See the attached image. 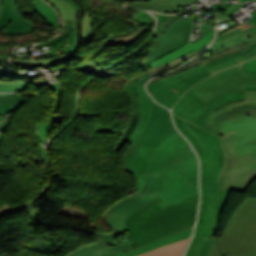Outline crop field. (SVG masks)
Instances as JSON below:
<instances>
[{"label": "crop field", "instance_id": "crop-field-26", "mask_svg": "<svg viewBox=\"0 0 256 256\" xmlns=\"http://www.w3.org/2000/svg\"><path fill=\"white\" fill-rule=\"evenodd\" d=\"M0 77H21L22 81L42 82V83H46L47 86H49L51 89L57 91L56 102H55V104L53 106V111H52L51 115L49 116L48 128H47V136H48L49 128H50L52 119H53V117L55 115V111H56V107H57V103H58L59 84L58 83L51 84L49 81H46V79L44 78L43 75H40V74H36V75H29V74H0Z\"/></svg>", "mask_w": 256, "mask_h": 256}, {"label": "crop field", "instance_id": "crop-field-32", "mask_svg": "<svg viewBox=\"0 0 256 256\" xmlns=\"http://www.w3.org/2000/svg\"><path fill=\"white\" fill-rule=\"evenodd\" d=\"M46 1L59 10L61 17L65 21V26H67L69 20H76V16L74 17V14L76 13L75 8H73L66 1H62V0H46Z\"/></svg>", "mask_w": 256, "mask_h": 256}, {"label": "crop field", "instance_id": "crop-field-50", "mask_svg": "<svg viewBox=\"0 0 256 256\" xmlns=\"http://www.w3.org/2000/svg\"><path fill=\"white\" fill-rule=\"evenodd\" d=\"M148 78H151L150 74L147 75V76H145V77H143V78H141V79H139V80H137V81H135V82L132 83V84H133V85H144L145 82L148 80Z\"/></svg>", "mask_w": 256, "mask_h": 256}, {"label": "crop field", "instance_id": "crop-field-25", "mask_svg": "<svg viewBox=\"0 0 256 256\" xmlns=\"http://www.w3.org/2000/svg\"><path fill=\"white\" fill-rule=\"evenodd\" d=\"M192 228H193V227H192ZM192 228H190V229H188V230H185V231H183V232H181V233H178V234H176V235L170 236V237H168V238H165V239H163V240L157 241V242H155V243H152V244H150V245H147V246H144V247H142V248L136 249V250L131 251V252L127 253V254H125L124 252H122V253L115 254V255H112V256H134V255L143 253V252H145V251H148V250H151V249H154V248H157V247H160V246H163V245H166V244L175 242V241H177V240H180V239L189 237L190 234H191Z\"/></svg>", "mask_w": 256, "mask_h": 256}, {"label": "crop field", "instance_id": "crop-field-21", "mask_svg": "<svg viewBox=\"0 0 256 256\" xmlns=\"http://www.w3.org/2000/svg\"><path fill=\"white\" fill-rule=\"evenodd\" d=\"M10 1L12 7V21L2 31V34L19 35L32 32L34 30L35 24L22 17L18 11L15 0Z\"/></svg>", "mask_w": 256, "mask_h": 256}, {"label": "crop field", "instance_id": "crop-field-44", "mask_svg": "<svg viewBox=\"0 0 256 256\" xmlns=\"http://www.w3.org/2000/svg\"><path fill=\"white\" fill-rule=\"evenodd\" d=\"M245 74L256 73V59L244 63Z\"/></svg>", "mask_w": 256, "mask_h": 256}, {"label": "crop field", "instance_id": "crop-field-10", "mask_svg": "<svg viewBox=\"0 0 256 256\" xmlns=\"http://www.w3.org/2000/svg\"><path fill=\"white\" fill-rule=\"evenodd\" d=\"M153 105L154 111L143 135L136 145H131L124 159L123 166L130 173L134 172L132 159L141 145L155 149L160 141L176 132L170 112L156 103Z\"/></svg>", "mask_w": 256, "mask_h": 256}, {"label": "crop field", "instance_id": "crop-field-67", "mask_svg": "<svg viewBox=\"0 0 256 256\" xmlns=\"http://www.w3.org/2000/svg\"><path fill=\"white\" fill-rule=\"evenodd\" d=\"M131 1H139V0H131Z\"/></svg>", "mask_w": 256, "mask_h": 256}, {"label": "crop field", "instance_id": "crop-field-29", "mask_svg": "<svg viewBox=\"0 0 256 256\" xmlns=\"http://www.w3.org/2000/svg\"><path fill=\"white\" fill-rule=\"evenodd\" d=\"M154 16L158 18V27L156 30V39L151 47L150 50L146 51V58H148L149 56H151L153 53H155L157 46L159 44V41L163 35V31L164 29L173 22V20L179 19V17L177 15H162V14H158V13H154ZM145 58V59H146Z\"/></svg>", "mask_w": 256, "mask_h": 256}, {"label": "crop field", "instance_id": "crop-field-36", "mask_svg": "<svg viewBox=\"0 0 256 256\" xmlns=\"http://www.w3.org/2000/svg\"><path fill=\"white\" fill-rule=\"evenodd\" d=\"M124 90H125V93L129 99V101L131 102L132 112L138 118H140V110H139L137 95L135 93V86H133V85L124 86Z\"/></svg>", "mask_w": 256, "mask_h": 256}, {"label": "crop field", "instance_id": "crop-field-15", "mask_svg": "<svg viewBox=\"0 0 256 256\" xmlns=\"http://www.w3.org/2000/svg\"><path fill=\"white\" fill-rule=\"evenodd\" d=\"M228 192L229 190L219 189L218 197L214 205L201 203L194 236L212 237L213 228H218L220 212L227 201Z\"/></svg>", "mask_w": 256, "mask_h": 256}, {"label": "crop field", "instance_id": "crop-field-66", "mask_svg": "<svg viewBox=\"0 0 256 256\" xmlns=\"http://www.w3.org/2000/svg\"><path fill=\"white\" fill-rule=\"evenodd\" d=\"M222 1H230V0H222Z\"/></svg>", "mask_w": 256, "mask_h": 256}, {"label": "crop field", "instance_id": "crop-field-24", "mask_svg": "<svg viewBox=\"0 0 256 256\" xmlns=\"http://www.w3.org/2000/svg\"><path fill=\"white\" fill-rule=\"evenodd\" d=\"M26 100L23 94H0V115H8L19 108Z\"/></svg>", "mask_w": 256, "mask_h": 256}, {"label": "crop field", "instance_id": "crop-field-38", "mask_svg": "<svg viewBox=\"0 0 256 256\" xmlns=\"http://www.w3.org/2000/svg\"><path fill=\"white\" fill-rule=\"evenodd\" d=\"M11 21V7L9 0H3V9L0 19V30L4 29Z\"/></svg>", "mask_w": 256, "mask_h": 256}, {"label": "crop field", "instance_id": "crop-field-40", "mask_svg": "<svg viewBox=\"0 0 256 256\" xmlns=\"http://www.w3.org/2000/svg\"><path fill=\"white\" fill-rule=\"evenodd\" d=\"M245 4H232L226 11H222L221 9L218 12V19L226 18L234 14L239 8H241ZM240 10V9H239Z\"/></svg>", "mask_w": 256, "mask_h": 256}, {"label": "crop field", "instance_id": "crop-field-35", "mask_svg": "<svg viewBox=\"0 0 256 256\" xmlns=\"http://www.w3.org/2000/svg\"><path fill=\"white\" fill-rule=\"evenodd\" d=\"M30 82H17V83H0V92H20L24 91L26 86ZM38 88L45 86L46 84L31 82Z\"/></svg>", "mask_w": 256, "mask_h": 256}, {"label": "crop field", "instance_id": "crop-field-5", "mask_svg": "<svg viewBox=\"0 0 256 256\" xmlns=\"http://www.w3.org/2000/svg\"><path fill=\"white\" fill-rule=\"evenodd\" d=\"M251 15L252 17L243 25L238 22L240 25L218 35L219 37H217L213 45L190 63L162 76V78L180 73L201 63L211 62L256 43V12L253 11Z\"/></svg>", "mask_w": 256, "mask_h": 256}, {"label": "crop field", "instance_id": "crop-field-64", "mask_svg": "<svg viewBox=\"0 0 256 256\" xmlns=\"http://www.w3.org/2000/svg\"><path fill=\"white\" fill-rule=\"evenodd\" d=\"M6 117H9V116H5V117H0V121ZM0 138H1V134H0Z\"/></svg>", "mask_w": 256, "mask_h": 256}, {"label": "crop field", "instance_id": "crop-field-42", "mask_svg": "<svg viewBox=\"0 0 256 256\" xmlns=\"http://www.w3.org/2000/svg\"><path fill=\"white\" fill-rule=\"evenodd\" d=\"M202 237H194L186 256H196Z\"/></svg>", "mask_w": 256, "mask_h": 256}, {"label": "crop field", "instance_id": "crop-field-45", "mask_svg": "<svg viewBox=\"0 0 256 256\" xmlns=\"http://www.w3.org/2000/svg\"><path fill=\"white\" fill-rule=\"evenodd\" d=\"M71 23H72V21L69 22L68 28H67L66 32L64 34H62L60 37H58V38H56L54 40L48 41V42H44V43L39 44V45H37L35 47L51 45V44L57 42L58 40L64 38L70 32Z\"/></svg>", "mask_w": 256, "mask_h": 256}, {"label": "crop field", "instance_id": "crop-field-22", "mask_svg": "<svg viewBox=\"0 0 256 256\" xmlns=\"http://www.w3.org/2000/svg\"><path fill=\"white\" fill-rule=\"evenodd\" d=\"M213 32H214V29L211 30L209 33H207L205 36H203L201 39H199L197 42L195 43H188L187 45H185L184 47L158 59L157 61L149 64L148 66L144 67V68H149V67H155V66H158V65H161L165 62H168L170 60H173L175 58H178L182 55H185L187 53H190L198 48H201L207 44H209V42L211 41L212 37H213Z\"/></svg>", "mask_w": 256, "mask_h": 256}, {"label": "crop field", "instance_id": "crop-field-18", "mask_svg": "<svg viewBox=\"0 0 256 256\" xmlns=\"http://www.w3.org/2000/svg\"><path fill=\"white\" fill-rule=\"evenodd\" d=\"M253 57H256V44L211 63H207L205 66L210 71V73L213 74L224 68L240 64Z\"/></svg>", "mask_w": 256, "mask_h": 256}, {"label": "crop field", "instance_id": "crop-field-23", "mask_svg": "<svg viewBox=\"0 0 256 256\" xmlns=\"http://www.w3.org/2000/svg\"><path fill=\"white\" fill-rule=\"evenodd\" d=\"M205 47H206V46H205ZM205 47H203V48H201V49H199V50H196V51H194V52H192V53H190V54H187V55H185V56H182V57H180V58H178V59H175V60H173V61H170V62H168V63H166V64H163V65H161V66H158V67H155V68H150V69H144L147 73H145V74H143V75H141V76H138V77H136V78H134V79H132V80L126 82L125 85L131 84V83H132L133 81H135L136 79H138V78H140V77H142V76H144V75H146V74H148V73H150V74L152 75V77H154V76H157V75H159V74H161V73H164V72H166V71H168V70H170V69H173V68H175V67H177V66L183 64L184 62H186V61L189 60L190 58H192L196 53H198V52H200L201 50L205 49Z\"/></svg>", "mask_w": 256, "mask_h": 256}, {"label": "crop field", "instance_id": "crop-field-17", "mask_svg": "<svg viewBox=\"0 0 256 256\" xmlns=\"http://www.w3.org/2000/svg\"><path fill=\"white\" fill-rule=\"evenodd\" d=\"M209 75H211L209 71L201 64L180 74L151 82L148 84V90L150 93L155 85L163 83L179 95H182L188 88Z\"/></svg>", "mask_w": 256, "mask_h": 256}, {"label": "crop field", "instance_id": "crop-field-28", "mask_svg": "<svg viewBox=\"0 0 256 256\" xmlns=\"http://www.w3.org/2000/svg\"><path fill=\"white\" fill-rule=\"evenodd\" d=\"M152 96L157 102L167 106L170 109L181 97L163 84L153 88Z\"/></svg>", "mask_w": 256, "mask_h": 256}, {"label": "crop field", "instance_id": "crop-field-33", "mask_svg": "<svg viewBox=\"0 0 256 256\" xmlns=\"http://www.w3.org/2000/svg\"><path fill=\"white\" fill-rule=\"evenodd\" d=\"M50 186L48 185H44L40 194L38 196H36L34 199L27 201L25 203L19 204L17 206H14L13 208L18 209V208H22L25 207L28 209L27 213L32 217V219L37 223L39 221V218L37 217V213H36V209H35V202L45 194V192L48 190Z\"/></svg>", "mask_w": 256, "mask_h": 256}, {"label": "crop field", "instance_id": "crop-field-31", "mask_svg": "<svg viewBox=\"0 0 256 256\" xmlns=\"http://www.w3.org/2000/svg\"><path fill=\"white\" fill-rule=\"evenodd\" d=\"M174 121L182 134L190 141L197 153L205 151V148L199 138L186 126L182 119L174 116Z\"/></svg>", "mask_w": 256, "mask_h": 256}, {"label": "crop field", "instance_id": "crop-field-65", "mask_svg": "<svg viewBox=\"0 0 256 256\" xmlns=\"http://www.w3.org/2000/svg\"><path fill=\"white\" fill-rule=\"evenodd\" d=\"M0 64H4V65H6L7 63H2V62H0Z\"/></svg>", "mask_w": 256, "mask_h": 256}, {"label": "crop field", "instance_id": "crop-field-52", "mask_svg": "<svg viewBox=\"0 0 256 256\" xmlns=\"http://www.w3.org/2000/svg\"><path fill=\"white\" fill-rule=\"evenodd\" d=\"M226 24L229 25V27H227V28H225V29H223L221 31H218V34H220V33L224 32V31H226V30H228V29L238 25V23L234 22L233 20L226 22Z\"/></svg>", "mask_w": 256, "mask_h": 256}, {"label": "crop field", "instance_id": "crop-field-16", "mask_svg": "<svg viewBox=\"0 0 256 256\" xmlns=\"http://www.w3.org/2000/svg\"><path fill=\"white\" fill-rule=\"evenodd\" d=\"M254 179H256V154H250L238 159L222 188L244 192Z\"/></svg>", "mask_w": 256, "mask_h": 256}, {"label": "crop field", "instance_id": "crop-field-14", "mask_svg": "<svg viewBox=\"0 0 256 256\" xmlns=\"http://www.w3.org/2000/svg\"><path fill=\"white\" fill-rule=\"evenodd\" d=\"M193 27H195V25L186 18L173 22L166 28L158 49L153 56L158 59L184 46L189 42Z\"/></svg>", "mask_w": 256, "mask_h": 256}, {"label": "crop field", "instance_id": "crop-field-68", "mask_svg": "<svg viewBox=\"0 0 256 256\" xmlns=\"http://www.w3.org/2000/svg\"><path fill=\"white\" fill-rule=\"evenodd\" d=\"M254 256H256V255H254Z\"/></svg>", "mask_w": 256, "mask_h": 256}, {"label": "crop field", "instance_id": "crop-field-63", "mask_svg": "<svg viewBox=\"0 0 256 256\" xmlns=\"http://www.w3.org/2000/svg\"><path fill=\"white\" fill-rule=\"evenodd\" d=\"M246 1H251V0H238L237 2H246Z\"/></svg>", "mask_w": 256, "mask_h": 256}, {"label": "crop field", "instance_id": "crop-field-48", "mask_svg": "<svg viewBox=\"0 0 256 256\" xmlns=\"http://www.w3.org/2000/svg\"><path fill=\"white\" fill-rule=\"evenodd\" d=\"M231 4H227V3H217V4H214V5H212L211 7L212 8H214V9H216V10H218V9H224V10H226L229 6H230Z\"/></svg>", "mask_w": 256, "mask_h": 256}, {"label": "crop field", "instance_id": "crop-field-3", "mask_svg": "<svg viewBox=\"0 0 256 256\" xmlns=\"http://www.w3.org/2000/svg\"><path fill=\"white\" fill-rule=\"evenodd\" d=\"M254 254H256V199H247L229 221L210 256Z\"/></svg>", "mask_w": 256, "mask_h": 256}, {"label": "crop field", "instance_id": "crop-field-13", "mask_svg": "<svg viewBox=\"0 0 256 256\" xmlns=\"http://www.w3.org/2000/svg\"><path fill=\"white\" fill-rule=\"evenodd\" d=\"M237 100H244L243 91L228 92L217 96L206 103L201 101L192 93L177 103L173 108L172 113L192 122L209 106L216 110L230 102Z\"/></svg>", "mask_w": 256, "mask_h": 256}, {"label": "crop field", "instance_id": "crop-field-2", "mask_svg": "<svg viewBox=\"0 0 256 256\" xmlns=\"http://www.w3.org/2000/svg\"><path fill=\"white\" fill-rule=\"evenodd\" d=\"M198 161L191 149L169 154L161 163L162 206L188 195L198 194Z\"/></svg>", "mask_w": 256, "mask_h": 256}, {"label": "crop field", "instance_id": "crop-field-11", "mask_svg": "<svg viewBox=\"0 0 256 256\" xmlns=\"http://www.w3.org/2000/svg\"><path fill=\"white\" fill-rule=\"evenodd\" d=\"M224 134L228 135L238 157L256 153V119L238 117L223 122Z\"/></svg>", "mask_w": 256, "mask_h": 256}, {"label": "crop field", "instance_id": "crop-field-59", "mask_svg": "<svg viewBox=\"0 0 256 256\" xmlns=\"http://www.w3.org/2000/svg\"><path fill=\"white\" fill-rule=\"evenodd\" d=\"M227 20H231V19L229 18V19H227ZM227 20L218 21V25L224 23V22L227 21Z\"/></svg>", "mask_w": 256, "mask_h": 256}, {"label": "crop field", "instance_id": "crop-field-20", "mask_svg": "<svg viewBox=\"0 0 256 256\" xmlns=\"http://www.w3.org/2000/svg\"><path fill=\"white\" fill-rule=\"evenodd\" d=\"M190 3H194V1L193 0H151L146 2L127 4V6L130 9L154 10V11L163 13L170 9L180 7Z\"/></svg>", "mask_w": 256, "mask_h": 256}, {"label": "crop field", "instance_id": "crop-field-12", "mask_svg": "<svg viewBox=\"0 0 256 256\" xmlns=\"http://www.w3.org/2000/svg\"><path fill=\"white\" fill-rule=\"evenodd\" d=\"M74 229L95 234L97 243L82 246L66 256H109L122 251L127 253L135 248L127 233H123L126 236L125 240L117 243L113 236L121 235V231L102 233L78 227ZM107 244H114L115 247H108Z\"/></svg>", "mask_w": 256, "mask_h": 256}, {"label": "crop field", "instance_id": "crop-field-1", "mask_svg": "<svg viewBox=\"0 0 256 256\" xmlns=\"http://www.w3.org/2000/svg\"><path fill=\"white\" fill-rule=\"evenodd\" d=\"M155 198L125 221L127 233L137 247L156 241L192 226L195 222L198 195L177 200L164 207Z\"/></svg>", "mask_w": 256, "mask_h": 256}, {"label": "crop field", "instance_id": "crop-field-55", "mask_svg": "<svg viewBox=\"0 0 256 256\" xmlns=\"http://www.w3.org/2000/svg\"><path fill=\"white\" fill-rule=\"evenodd\" d=\"M10 51H11V49H9V52L0 51V59H8V57L10 55Z\"/></svg>", "mask_w": 256, "mask_h": 256}, {"label": "crop field", "instance_id": "crop-field-4", "mask_svg": "<svg viewBox=\"0 0 256 256\" xmlns=\"http://www.w3.org/2000/svg\"><path fill=\"white\" fill-rule=\"evenodd\" d=\"M213 111L209 107L192 124L184 121L207 149V151L198 154L201 160V202L211 204L214 203L217 197V178L223 164L218 136L206 122Z\"/></svg>", "mask_w": 256, "mask_h": 256}, {"label": "crop field", "instance_id": "crop-field-39", "mask_svg": "<svg viewBox=\"0 0 256 256\" xmlns=\"http://www.w3.org/2000/svg\"><path fill=\"white\" fill-rule=\"evenodd\" d=\"M132 19L138 22L151 25L154 20V17L150 16L146 11H137L132 17Z\"/></svg>", "mask_w": 256, "mask_h": 256}, {"label": "crop field", "instance_id": "crop-field-49", "mask_svg": "<svg viewBox=\"0 0 256 256\" xmlns=\"http://www.w3.org/2000/svg\"><path fill=\"white\" fill-rule=\"evenodd\" d=\"M245 100L256 99V91H244Z\"/></svg>", "mask_w": 256, "mask_h": 256}, {"label": "crop field", "instance_id": "crop-field-47", "mask_svg": "<svg viewBox=\"0 0 256 256\" xmlns=\"http://www.w3.org/2000/svg\"><path fill=\"white\" fill-rule=\"evenodd\" d=\"M214 27H212L210 24H208L207 22L200 25V30L202 32V36L205 35L207 32H209L211 29H213Z\"/></svg>", "mask_w": 256, "mask_h": 256}, {"label": "crop field", "instance_id": "crop-field-6", "mask_svg": "<svg viewBox=\"0 0 256 256\" xmlns=\"http://www.w3.org/2000/svg\"><path fill=\"white\" fill-rule=\"evenodd\" d=\"M238 116H254L256 117V100L238 101L224 106L216 111L209 117L207 122L213 128L220 138L224 164L222 172L218 178V185L222 187L226 177L237 161L238 157L226 135L223 134L222 121L231 117Z\"/></svg>", "mask_w": 256, "mask_h": 256}, {"label": "crop field", "instance_id": "crop-field-56", "mask_svg": "<svg viewBox=\"0 0 256 256\" xmlns=\"http://www.w3.org/2000/svg\"><path fill=\"white\" fill-rule=\"evenodd\" d=\"M8 121H9V119H6V120H3V121L0 122V132H2L3 129L6 127Z\"/></svg>", "mask_w": 256, "mask_h": 256}, {"label": "crop field", "instance_id": "crop-field-27", "mask_svg": "<svg viewBox=\"0 0 256 256\" xmlns=\"http://www.w3.org/2000/svg\"><path fill=\"white\" fill-rule=\"evenodd\" d=\"M188 238L145 252L137 256H180Z\"/></svg>", "mask_w": 256, "mask_h": 256}, {"label": "crop field", "instance_id": "crop-field-58", "mask_svg": "<svg viewBox=\"0 0 256 256\" xmlns=\"http://www.w3.org/2000/svg\"><path fill=\"white\" fill-rule=\"evenodd\" d=\"M245 90H256V86H254V87H245Z\"/></svg>", "mask_w": 256, "mask_h": 256}, {"label": "crop field", "instance_id": "crop-field-62", "mask_svg": "<svg viewBox=\"0 0 256 256\" xmlns=\"http://www.w3.org/2000/svg\"><path fill=\"white\" fill-rule=\"evenodd\" d=\"M1 8H2V0H0V14H1Z\"/></svg>", "mask_w": 256, "mask_h": 256}, {"label": "crop field", "instance_id": "crop-field-54", "mask_svg": "<svg viewBox=\"0 0 256 256\" xmlns=\"http://www.w3.org/2000/svg\"><path fill=\"white\" fill-rule=\"evenodd\" d=\"M11 206L9 205H6L5 207H3L1 210H0V217L4 214H6L7 212H9L11 210Z\"/></svg>", "mask_w": 256, "mask_h": 256}, {"label": "crop field", "instance_id": "crop-field-37", "mask_svg": "<svg viewBox=\"0 0 256 256\" xmlns=\"http://www.w3.org/2000/svg\"><path fill=\"white\" fill-rule=\"evenodd\" d=\"M220 238L203 237L197 256H209L215 244Z\"/></svg>", "mask_w": 256, "mask_h": 256}, {"label": "crop field", "instance_id": "crop-field-51", "mask_svg": "<svg viewBox=\"0 0 256 256\" xmlns=\"http://www.w3.org/2000/svg\"><path fill=\"white\" fill-rule=\"evenodd\" d=\"M40 145V144H39ZM40 148H41V151H42V153H43V155H44V158H45V160L48 162V163H50V161H49V154H48V147L47 148H44L42 145H40ZM51 164V163H50Z\"/></svg>", "mask_w": 256, "mask_h": 256}, {"label": "crop field", "instance_id": "crop-field-53", "mask_svg": "<svg viewBox=\"0 0 256 256\" xmlns=\"http://www.w3.org/2000/svg\"><path fill=\"white\" fill-rule=\"evenodd\" d=\"M155 60H157V59L154 58L153 56H151V57H149L147 60L144 59V60L139 64V66L143 67V66H145V65H147V64H149V63H151V62H153V61H155Z\"/></svg>", "mask_w": 256, "mask_h": 256}, {"label": "crop field", "instance_id": "crop-field-34", "mask_svg": "<svg viewBox=\"0 0 256 256\" xmlns=\"http://www.w3.org/2000/svg\"><path fill=\"white\" fill-rule=\"evenodd\" d=\"M82 36V42L85 43H90L91 38L96 36V32L92 28V20L90 19L87 10L82 19Z\"/></svg>", "mask_w": 256, "mask_h": 256}, {"label": "crop field", "instance_id": "crop-field-7", "mask_svg": "<svg viewBox=\"0 0 256 256\" xmlns=\"http://www.w3.org/2000/svg\"><path fill=\"white\" fill-rule=\"evenodd\" d=\"M143 174L147 180L145 192L137 191L125 197L108 208L103 214V219L112 231L121 230L122 233L126 232L124 220L133 212L157 197L160 190L159 172H143Z\"/></svg>", "mask_w": 256, "mask_h": 256}, {"label": "crop field", "instance_id": "crop-field-46", "mask_svg": "<svg viewBox=\"0 0 256 256\" xmlns=\"http://www.w3.org/2000/svg\"><path fill=\"white\" fill-rule=\"evenodd\" d=\"M131 22L135 25L136 31L141 35L145 33V31L149 28V26L144 25L142 23H138L131 19Z\"/></svg>", "mask_w": 256, "mask_h": 256}, {"label": "crop field", "instance_id": "crop-field-30", "mask_svg": "<svg viewBox=\"0 0 256 256\" xmlns=\"http://www.w3.org/2000/svg\"><path fill=\"white\" fill-rule=\"evenodd\" d=\"M31 3L33 5L32 9L56 30L57 15L55 11L42 0H35V3L31 1Z\"/></svg>", "mask_w": 256, "mask_h": 256}, {"label": "crop field", "instance_id": "crop-field-41", "mask_svg": "<svg viewBox=\"0 0 256 256\" xmlns=\"http://www.w3.org/2000/svg\"><path fill=\"white\" fill-rule=\"evenodd\" d=\"M129 36L126 38V39H117L115 40L114 43H118L119 44H124L126 47L132 43H134L136 40H134V37L135 36H139V34L135 31V30H132L130 32H128ZM140 37V36H139Z\"/></svg>", "mask_w": 256, "mask_h": 256}, {"label": "crop field", "instance_id": "crop-field-57", "mask_svg": "<svg viewBox=\"0 0 256 256\" xmlns=\"http://www.w3.org/2000/svg\"><path fill=\"white\" fill-rule=\"evenodd\" d=\"M68 3H70L71 5H73L75 8H78L79 6L77 5L76 2L72 1V0H66Z\"/></svg>", "mask_w": 256, "mask_h": 256}, {"label": "crop field", "instance_id": "crop-field-43", "mask_svg": "<svg viewBox=\"0 0 256 256\" xmlns=\"http://www.w3.org/2000/svg\"><path fill=\"white\" fill-rule=\"evenodd\" d=\"M47 120L45 121V123H38V132H39V137H40V141L41 143L45 144L47 138H45L46 136V128H47Z\"/></svg>", "mask_w": 256, "mask_h": 256}, {"label": "crop field", "instance_id": "crop-field-61", "mask_svg": "<svg viewBox=\"0 0 256 256\" xmlns=\"http://www.w3.org/2000/svg\"><path fill=\"white\" fill-rule=\"evenodd\" d=\"M56 71V68L51 70V77L53 78V73Z\"/></svg>", "mask_w": 256, "mask_h": 256}, {"label": "crop field", "instance_id": "crop-field-60", "mask_svg": "<svg viewBox=\"0 0 256 256\" xmlns=\"http://www.w3.org/2000/svg\"><path fill=\"white\" fill-rule=\"evenodd\" d=\"M15 65V64H13ZM17 66H20V67H39V66H23V65H17Z\"/></svg>", "mask_w": 256, "mask_h": 256}, {"label": "crop field", "instance_id": "crop-field-8", "mask_svg": "<svg viewBox=\"0 0 256 256\" xmlns=\"http://www.w3.org/2000/svg\"><path fill=\"white\" fill-rule=\"evenodd\" d=\"M253 85H256V74L244 75L243 65L241 64L199 82L189 89L182 98L193 92L205 102L222 93L232 90H244V86Z\"/></svg>", "mask_w": 256, "mask_h": 256}, {"label": "crop field", "instance_id": "crop-field-19", "mask_svg": "<svg viewBox=\"0 0 256 256\" xmlns=\"http://www.w3.org/2000/svg\"><path fill=\"white\" fill-rule=\"evenodd\" d=\"M136 93L139 99V105L141 110V119H139L135 131L132 133L128 142L136 144L140 136L142 135L147 122L153 111L152 100L146 94L144 87L136 86Z\"/></svg>", "mask_w": 256, "mask_h": 256}, {"label": "crop field", "instance_id": "crop-field-9", "mask_svg": "<svg viewBox=\"0 0 256 256\" xmlns=\"http://www.w3.org/2000/svg\"><path fill=\"white\" fill-rule=\"evenodd\" d=\"M187 148H190L189 145L177 132L160 142L155 150L141 146L133 159L137 189L144 191L146 187L142 171H159L160 163L166 155Z\"/></svg>", "mask_w": 256, "mask_h": 256}]
</instances>
